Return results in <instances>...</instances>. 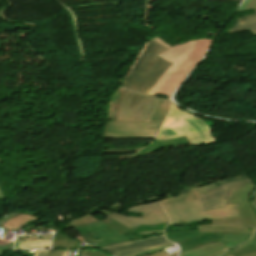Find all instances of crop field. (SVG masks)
<instances>
[{
  "instance_id": "8a807250",
  "label": "crop field",
  "mask_w": 256,
  "mask_h": 256,
  "mask_svg": "<svg viewBox=\"0 0 256 256\" xmlns=\"http://www.w3.org/2000/svg\"><path fill=\"white\" fill-rule=\"evenodd\" d=\"M153 40L169 50L157 57L173 63L162 78L149 92L170 98L171 94L185 78V75L196 65L208 49L212 39L191 40L180 45L170 47L158 37Z\"/></svg>"
},
{
  "instance_id": "ac0d7876",
  "label": "crop field",
  "mask_w": 256,
  "mask_h": 256,
  "mask_svg": "<svg viewBox=\"0 0 256 256\" xmlns=\"http://www.w3.org/2000/svg\"><path fill=\"white\" fill-rule=\"evenodd\" d=\"M165 50L167 49L151 40L122 86L136 92L148 93L171 65L155 57Z\"/></svg>"
},
{
  "instance_id": "34b2d1b8",
  "label": "crop field",
  "mask_w": 256,
  "mask_h": 256,
  "mask_svg": "<svg viewBox=\"0 0 256 256\" xmlns=\"http://www.w3.org/2000/svg\"><path fill=\"white\" fill-rule=\"evenodd\" d=\"M185 135L190 145L216 142L211 131L199 118L171 105L165 123L154 142Z\"/></svg>"
},
{
  "instance_id": "412701ff",
  "label": "crop field",
  "mask_w": 256,
  "mask_h": 256,
  "mask_svg": "<svg viewBox=\"0 0 256 256\" xmlns=\"http://www.w3.org/2000/svg\"><path fill=\"white\" fill-rule=\"evenodd\" d=\"M194 193L197 199L162 205L170 219L168 226L178 223L239 216L236 208L204 212L197 191Z\"/></svg>"
},
{
  "instance_id": "f4fd0767",
  "label": "crop field",
  "mask_w": 256,
  "mask_h": 256,
  "mask_svg": "<svg viewBox=\"0 0 256 256\" xmlns=\"http://www.w3.org/2000/svg\"><path fill=\"white\" fill-rule=\"evenodd\" d=\"M160 99L158 96L138 94L127 90L121 101L117 120L149 122Z\"/></svg>"
},
{
  "instance_id": "dd49c442",
  "label": "crop field",
  "mask_w": 256,
  "mask_h": 256,
  "mask_svg": "<svg viewBox=\"0 0 256 256\" xmlns=\"http://www.w3.org/2000/svg\"><path fill=\"white\" fill-rule=\"evenodd\" d=\"M161 124L107 120L103 139L155 138Z\"/></svg>"
},
{
  "instance_id": "e52e79f7",
  "label": "crop field",
  "mask_w": 256,
  "mask_h": 256,
  "mask_svg": "<svg viewBox=\"0 0 256 256\" xmlns=\"http://www.w3.org/2000/svg\"><path fill=\"white\" fill-rule=\"evenodd\" d=\"M84 241L96 248L130 241L129 238L102 221L75 227ZM98 236V238H96ZM97 245H93V244Z\"/></svg>"
},
{
  "instance_id": "d8731c3e",
  "label": "crop field",
  "mask_w": 256,
  "mask_h": 256,
  "mask_svg": "<svg viewBox=\"0 0 256 256\" xmlns=\"http://www.w3.org/2000/svg\"><path fill=\"white\" fill-rule=\"evenodd\" d=\"M212 225L197 226L199 230L181 231L177 233H169L166 235L167 240L179 243L197 236L200 232L211 233H246L252 234L254 230L247 231L240 217L211 220Z\"/></svg>"
},
{
  "instance_id": "5a996713",
  "label": "crop field",
  "mask_w": 256,
  "mask_h": 256,
  "mask_svg": "<svg viewBox=\"0 0 256 256\" xmlns=\"http://www.w3.org/2000/svg\"><path fill=\"white\" fill-rule=\"evenodd\" d=\"M126 212H144V215L143 218H139L131 216H121L112 213L109 218L119 222L120 224L130 229L137 225L168 222V218L158 201L154 203L133 206L129 208Z\"/></svg>"
},
{
  "instance_id": "3316defc",
  "label": "crop field",
  "mask_w": 256,
  "mask_h": 256,
  "mask_svg": "<svg viewBox=\"0 0 256 256\" xmlns=\"http://www.w3.org/2000/svg\"><path fill=\"white\" fill-rule=\"evenodd\" d=\"M255 189L256 187L252 183L232 188L226 202V205L241 203V207L237 210L248 230L256 229V213L248 201L249 195Z\"/></svg>"
},
{
  "instance_id": "28ad6ade",
  "label": "crop field",
  "mask_w": 256,
  "mask_h": 256,
  "mask_svg": "<svg viewBox=\"0 0 256 256\" xmlns=\"http://www.w3.org/2000/svg\"><path fill=\"white\" fill-rule=\"evenodd\" d=\"M201 234L202 236L200 237L179 243V246L181 248L180 253L205 243H214V242H222L227 247L232 249L239 243L249 239L251 236V235H245V234H211V233H201Z\"/></svg>"
},
{
  "instance_id": "d1516ede",
  "label": "crop field",
  "mask_w": 256,
  "mask_h": 256,
  "mask_svg": "<svg viewBox=\"0 0 256 256\" xmlns=\"http://www.w3.org/2000/svg\"><path fill=\"white\" fill-rule=\"evenodd\" d=\"M173 244L171 242H168L164 235L158 236V237H153V238H148V239H143L139 241H134V242H127L107 248H102L105 249L109 252H111L114 256H126L142 251H146L149 249L165 246Z\"/></svg>"
},
{
  "instance_id": "22f410ed",
  "label": "crop field",
  "mask_w": 256,
  "mask_h": 256,
  "mask_svg": "<svg viewBox=\"0 0 256 256\" xmlns=\"http://www.w3.org/2000/svg\"><path fill=\"white\" fill-rule=\"evenodd\" d=\"M250 182H251L250 180L233 182V183H230V184H227L219 188L209 190L205 193L200 194L199 197L204 207V210L207 211V210H213V209L240 206V204L225 206L228 192L232 187L240 186Z\"/></svg>"
},
{
  "instance_id": "cbeb9de0",
  "label": "crop field",
  "mask_w": 256,
  "mask_h": 256,
  "mask_svg": "<svg viewBox=\"0 0 256 256\" xmlns=\"http://www.w3.org/2000/svg\"><path fill=\"white\" fill-rule=\"evenodd\" d=\"M96 211L101 212V213L105 214L106 216H109L112 213V212L101 210V209H98ZM102 221L106 222L107 224L111 225L112 227L116 228L117 230H119L120 232H122L124 234H128L129 232H141V231H147V230L163 229L167 225V223L157 224V225H144V226H137L130 230V229L120 225L119 223L109 219L108 217L104 218Z\"/></svg>"
},
{
  "instance_id": "5142ce71",
  "label": "crop field",
  "mask_w": 256,
  "mask_h": 256,
  "mask_svg": "<svg viewBox=\"0 0 256 256\" xmlns=\"http://www.w3.org/2000/svg\"><path fill=\"white\" fill-rule=\"evenodd\" d=\"M51 239H42L34 241H16L15 249L26 248H49Z\"/></svg>"
},
{
  "instance_id": "d9b57169",
  "label": "crop field",
  "mask_w": 256,
  "mask_h": 256,
  "mask_svg": "<svg viewBox=\"0 0 256 256\" xmlns=\"http://www.w3.org/2000/svg\"><path fill=\"white\" fill-rule=\"evenodd\" d=\"M170 102L162 98L150 122H162L168 113Z\"/></svg>"
},
{
  "instance_id": "733c2abd",
  "label": "crop field",
  "mask_w": 256,
  "mask_h": 256,
  "mask_svg": "<svg viewBox=\"0 0 256 256\" xmlns=\"http://www.w3.org/2000/svg\"><path fill=\"white\" fill-rule=\"evenodd\" d=\"M246 179H249V178H247L246 176H243V177L234 178L232 180L228 179V180H224V181H218V182H214V183H212V184H210L208 186H200V187H196V188L185 190V191L181 192L180 194H184V193L195 191V190H197L198 193L200 194V193H202L204 191H207L209 189L216 188L218 186H221V185L233 182V181L246 180Z\"/></svg>"
},
{
  "instance_id": "4a817a6b",
  "label": "crop field",
  "mask_w": 256,
  "mask_h": 256,
  "mask_svg": "<svg viewBox=\"0 0 256 256\" xmlns=\"http://www.w3.org/2000/svg\"><path fill=\"white\" fill-rule=\"evenodd\" d=\"M243 30H249L253 36H256V19L241 23H235L234 26L227 33Z\"/></svg>"
},
{
  "instance_id": "bc2a9ffb",
  "label": "crop field",
  "mask_w": 256,
  "mask_h": 256,
  "mask_svg": "<svg viewBox=\"0 0 256 256\" xmlns=\"http://www.w3.org/2000/svg\"><path fill=\"white\" fill-rule=\"evenodd\" d=\"M228 249L226 246H224L223 244L188 255V256H221L222 254H224L225 252H227Z\"/></svg>"
},
{
  "instance_id": "214f88e0",
  "label": "crop field",
  "mask_w": 256,
  "mask_h": 256,
  "mask_svg": "<svg viewBox=\"0 0 256 256\" xmlns=\"http://www.w3.org/2000/svg\"><path fill=\"white\" fill-rule=\"evenodd\" d=\"M94 221H98V219L94 218L93 216L87 214V215H84V216H81L77 219H74V220H71L69 221V225H65L63 227V230L65 229H69V228H73L77 225H81V224H87V223H91V222H94Z\"/></svg>"
},
{
  "instance_id": "92a150f3",
  "label": "crop field",
  "mask_w": 256,
  "mask_h": 256,
  "mask_svg": "<svg viewBox=\"0 0 256 256\" xmlns=\"http://www.w3.org/2000/svg\"><path fill=\"white\" fill-rule=\"evenodd\" d=\"M17 214L10 213L6 218L0 220V226L2 223H4L6 220L10 219L11 217L15 216ZM13 250V242H0V255L4 252Z\"/></svg>"
},
{
  "instance_id": "dafd665d",
  "label": "crop field",
  "mask_w": 256,
  "mask_h": 256,
  "mask_svg": "<svg viewBox=\"0 0 256 256\" xmlns=\"http://www.w3.org/2000/svg\"><path fill=\"white\" fill-rule=\"evenodd\" d=\"M196 198L194 193H188V194H184V195H179L177 197H173V198H169V199H165V200H161V204L164 203H170V202H176V201H182V200H188V199H194Z\"/></svg>"
},
{
  "instance_id": "00972430",
  "label": "crop field",
  "mask_w": 256,
  "mask_h": 256,
  "mask_svg": "<svg viewBox=\"0 0 256 256\" xmlns=\"http://www.w3.org/2000/svg\"><path fill=\"white\" fill-rule=\"evenodd\" d=\"M218 244H221V243L205 244V245L199 246L197 248H194V249L188 250L186 252H183V253L180 254V256L188 255V254H191V253H194V252H197V251H200V250H203V249H206V248L218 245Z\"/></svg>"
},
{
  "instance_id": "a9b5d70f",
  "label": "crop field",
  "mask_w": 256,
  "mask_h": 256,
  "mask_svg": "<svg viewBox=\"0 0 256 256\" xmlns=\"http://www.w3.org/2000/svg\"><path fill=\"white\" fill-rule=\"evenodd\" d=\"M251 8H256V0H245L241 7L238 9V11L247 10Z\"/></svg>"
},
{
  "instance_id": "4177f3b9",
  "label": "crop field",
  "mask_w": 256,
  "mask_h": 256,
  "mask_svg": "<svg viewBox=\"0 0 256 256\" xmlns=\"http://www.w3.org/2000/svg\"><path fill=\"white\" fill-rule=\"evenodd\" d=\"M245 246H256V236L251 237L248 241H246L244 244L240 245L239 247L233 249L232 251H230L228 254L232 253L233 251L243 248Z\"/></svg>"
},
{
  "instance_id": "730fd06b",
  "label": "crop field",
  "mask_w": 256,
  "mask_h": 256,
  "mask_svg": "<svg viewBox=\"0 0 256 256\" xmlns=\"http://www.w3.org/2000/svg\"><path fill=\"white\" fill-rule=\"evenodd\" d=\"M254 11H255V14L238 17L235 22H241V21H245V20L255 19L256 18V9H254Z\"/></svg>"
},
{
  "instance_id": "eef30255",
  "label": "crop field",
  "mask_w": 256,
  "mask_h": 256,
  "mask_svg": "<svg viewBox=\"0 0 256 256\" xmlns=\"http://www.w3.org/2000/svg\"><path fill=\"white\" fill-rule=\"evenodd\" d=\"M65 251L70 250H51L48 256H64Z\"/></svg>"
},
{
  "instance_id": "ae1a2a85",
  "label": "crop field",
  "mask_w": 256,
  "mask_h": 256,
  "mask_svg": "<svg viewBox=\"0 0 256 256\" xmlns=\"http://www.w3.org/2000/svg\"><path fill=\"white\" fill-rule=\"evenodd\" d=\"M169 254L164 250L147 255V256H168Z\"/></svg>"
},
{
  "instance_id": "d3111659",
  "label": "crop field",
  "mask_w": 256,
  "mask_h": 256,
  "mask_svg": "<svg viewBox=\"0 0 256 256\" xmlns=\"http://www.w3.org/2000/svg\"><path fill=\"white\" fill-rule=\"evenodd\" d=\"M160 232H162V230L141 232V233H138V234H139V235H144V234H154V233H160Z\"/></svg>"
},
{
  "instance_id": "750c4746",
  "label": "crop field",
  "mask_w": 256,
  "mask_h": 256,
  "mask_svg": "<svg viewBox=\"0 0 256 256\" xmlns=\"http://www.w3.org/2000/svg\"><path fill=\"white\" fill-rule=\"evenodd\" d=\"M47 253L48 251H37L35 256H46Z\"/></svg>"
},
{
  "instance_id": "bd1437ed",
  "label": "crop field",
  "mask_w": 256,
  "mask_h": 256,
  "mask_svg": "<svg viewBox=\"0 0 256 256\" xmlns=\"http://www.w3.org/2000/svg\"><path fill=\"white\" fill-rule=\"evenodd\" d=\"M4 197H5V196H4V194H3V192H2V190H1V188H0V200L3 201Z\"/></svg>"
},
{
  "instance_id": "1d83c4d3",
  "label": "crop field",
  "mask_w": 256,
  "mask_h": 256,
  "mask_svg": "<svg viewBox=\"0 0 256 256\" xmlns=\"http://www.w3.org/2000/svg\"><path fill=\"white\" fill-rule=\"evenodd\" d=\"M253 203H254V205H255V208H256V193H255V195H254V200H253Z\"/></svg>"
},
{
  "instance_id": "120bbe31",
  "label": "crop field",
  "mask_w": 256,
  "mask_h": 256,
  "mask_svg": "<svg viewBox=\"0 0 256 256\" xmlns=\"http://www.w3.org/2000/svg\"><path fill=\"white\" fill-rule=\"evenodd\" d=\"M224 256H229V255H224ZM245 256H256V254H249V255H245Z\"/></svg>"
},
{
  "instance_id": "d32e631a",
  "label": "crop field",
  "mask_w": 256,
  "mask_h": 256,
  "mask_svg": "<svg viewBox=\"0 0 256 256\" xmlns=\"http://www.w3.org/2000/svg\"><path fill=\"white\" fill-rule=\"evenodd\" d=\"M234 1H241V0H234Z\"/></svg>"
}]
</instances>
